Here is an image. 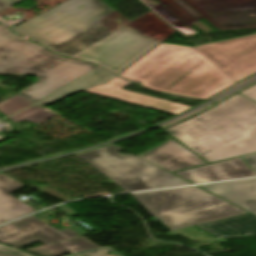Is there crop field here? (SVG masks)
Masks as SVG:
<instances>
[{
  "mask_svg": "<svg viewBox=\"0 0 256 256\" xmlns=\"http://www.w3.org/2000/svg\"><path fill=\"white\" fill-rule=\"evenodd\" d=\"M243 158L250 166V168L256 173V154L244 156Z\"/></svg>",
  "mask_w": 256,
  "mask_h": 256,
  "instance_id": "crop-field-23",
  "label": "crop field"
},
{
  "mask_svg": "<svg viewBox=\"0 0 256 256\" xmlns=\"http://www.w3.org/2000/svg\"><path fill=\"white\" fill-rule=\"evenodd\" d=\"M10 224L21 231L9 235L2 227H0V242L14 247H19L36 240L46 245L79 237V235L69 229L60 232L33 216Z\"/></svg>",
  "mask_w": 256,
  "mask_h": 256,
  "instance_id": "crop-field-9",
  "label": "crop field"
},
{
  "mask_svg": "<svg viewBox=\"0 0 256 256\" xmlns=\"http://www.w3.org/2000/svg\"><path fill=\"white\" fill-rule=\"evenodd\" d=\"M125 27L144 37L158 42L162 41L164 38L174 32L151 12Z\"/></svg>",
  "mask_w": 256,
  "mask_h": 256,
  "instance_id": "crop-field-17",
  "label": "crop field"
},
{
  "mask_svg": "<svg viewBox=\"0 0 256 256\" xmlns=\"http://www.w3.org/2000/svg\"><path fill=\"white\" fill-rule=\"evenodd\" d=\"M165 131L209 163L256 153V103L238 95Z\"/></svg>",
  "mask_w": 256,
  "mask_h": 256,
  "instance_id": "crop-field-1",
  "label": "crop field"
},
{
  "mask_svg": "<svg viewBox=\"0 0 256 256\" xmlns=\"http://www.w3.org/2000/svg\"><path fill=\"white\" fill-rule=\"evenodd\" d=\"M132 195L154 218H159L170 231L246 213L198 187Z\"/></svg>",
  "mask_w": 256,
  "mask_h": 256,
  "instance_id": "crop-field-5",
  "label": "crop field"
},
{
  "mask_svg": "<svg viewBox=\"0 0 256 256\" xmlns=\"http://www.w3.org/2000/svg\"><path fill=\"white\" fill-rule=\"evenodd\" d=\"M11 6H13V5H11V4H9L5 1L0 0V12L9 8V7H11Z\"/></svg>",
  "mask_w": 256,
  "mask_h": 256,
  "instance_id": "crop-field-25",
  "label": "crop field"
},
{
  "mask_svg": "<svg viewBox=\"0 0 256 256\" xmlns=\"http://www.w3.org/2000/svg\"><path fill=\"white\" fill-rule=\"evenodd\" d=\"M176 174L196 183L255 176L240 158L176 172Z\"/></svg>",
  "mask_w": 256,
  "mask_h": 256,
  "instance_id": "crop-field-12",
  "label": "crop field"
},
{
  "mask_svg": "<svg viewBox=\"0 0 256 256\" xmlns=\"http://www.w3.org/2000/svg\"><path fill=\"white\" fill-rule=\"evenodd\" d=\"M195 49L236 83L256 73V34Z\"/></svg>",
  "mask_w": 256,
  "mask_h": 256,
  "instance_id": "crop-field-8",
  "label": "crop field"
},
{
  "mask_svg": "<svg viewBox=\"0 0 256 256\" xmlns=\"http://www.w3.org/2000/svg\"><path fill=\"white\" fill-rule=\"evenodd\" d=\"M197 227L219 238L243 236L247 232L256 235V216L247 213L197 225Z\"/></svg>",
  "mask_w": 256,
  "mask_h": 256,
  "instance_id": "crop-field-14",
  "label": "crop field"
},
{
  "mask_svg": "<svg viewBox=\"0 0 256 256\" xmlns=\"http://www.w3.org/2000/svg\"><path fill=\"white\" fill-rule=\"evenodd\" d=\"M5 1H7V2L13 4V5H15V4H17V3H19V2H21V1H23V0H5Z\"/></svg>",
  "mask_w": 256,
  "mask_h": 256,
  "instance_id": "crop-field-26",
  "label": "crop field"
},
{
  "mask_svg": "<svg viewBox=\"0 0 256 256\" xmlns=\"http://www.w3.org/2000/svg\"><path fill=\"white\" fill-rule=\"evenodd\" d=\"M92 72V71H91ZM87 75V74H86ZM85 76V75H84ZM115 77L111 73L107 72L106 70L102 68H97L92 73L88 74L87 76L83 78H79L80 80L66 86L65 88L49 95L45 99L41 100L39 104L46 106L52 102H55L59 99H62L66 96H69L71 94H74L78 91L93 87L97 84L105 83L108 80Z\"/></svg>",
  "mask_w": 256,
  "mask_h": 256,
  "instance_id": "crop-field-16",
  "label": "crop field"
},
{
  "mask_svg": "<svg viewBox=\"0 0 256 256\" xmlns=\"http://www.w3.org/2000/svg\"><path fill=\"white\" fill-rule=\"evenodd\" d=\"M112 145L75 157L87 160L127 192L189 184L133 154L119 156Z\"/></svg>",
  "mask_w": 256,
  "mask_h": 256,
  "instance_id": "crop-field-6",
  "label": "crop field"
},
{
  "mask_svg": "<svg viewBox=\"0 0 256 256\" xmlns=\"http://www.w3.org/2000/svg\"><path fill=\"white\" fill-rule=\"evenodd\" d=\"M54 116L56 115L38 107L37 105H34L9 118L14 122L30 121L38 125Z\"/></svg>",
  "mask_w": 256,
  "mask_h": 256,
  "instance_id": "crop-field-19",
  "label": "crop field"
},
{
  "mask_svg": "<svg viewBox=\"0 0 256 256\" xmlns=\"http://www.w3.org/2000/svg\"><path fill=\"white\" fill-rule=\"evenodd\" d=\"M256 215V179L200 186Z\"/></svg>",
  "mask_w": 256,
  "mask_h": 256,
  "instance_id": "crop-field-13",
  "label": "crop field"
},
{
  "mask_svg": "<svg viewBox=\"0 0 256 256\" xmlns=\"http://www.w3.org/2000/svg\"><path fill=\"white\" fill-rule=\"evenodd\" d=\"M23 187V184L0 174V224L37 211L8 194Z\"/></svg>",
  "mask_w": 256,
  "mask_h": 256,
  "instance_id": "crop-field-15",
  "label": "crop field"
},
{
  "mask_svg": "<svg viewBox=\"0 0 256 256\" xmlns=\"http://www.w3.org/2000/svg\"><path fill=\"white\" fill-rule=\"evenodd\" d=\"M93 248H97V246L84 239L83 237H79L71 240L49 244L44 247L28 249L25 251L36 254L38 256H60L64 253L72 254Z\"/></svg>",
  "mask_w": 256,
  "mask_h": 256,
  "instance_id": "crop-field-18",
  "label": "crop field"
},
{
  "mask_svg": "<svg viewBox=\"0 0 256 256\" xmlns=\"http://www.w3.org/2000/svg\"><path fill=\"white\" fill-rule=\"evenodd\" d=\"M138 157L170 173L207 164L173 139Z\"/></svg>",
  "mask_w": 256,
  "mask_h": 256,
  "instance_id": "crop-field-11",
  "label": "crop field"
},
{
  "mask_svg": "<svg viewBox=\"0 0 256 256\" xmlns=\"http://www.w3.org/2000/svg\"><path fill=\"white\" fill-rule=\"evenodd\" d=\"M239 93H241V94L247 96L248 98L256 101V84L247 88V89H245V90H243V91H241V92H239Z\"/></svg>",
  "mask_w": 256,
  "mask_h": 256,
  "instance_id": "crop-field-22",
  "label": "crop field"
},
{
  "mask_svg": "<svg viewBox=\"0 0 256 256\" xmlns=\"http://www.w3.org/2000/svg\"><path fill=\"white\" fill-rule=\"evenodd\" d=\"M110 250L100 249L96 251L82 253L81 256H105ZM0 256H31L6 246L0 245Z\"/></svg>",
  "mask_w": 256,
  "mask_h": 256,
  "instance_id": "crop-field-21",
  "label": "crop field"
},
{
  "mask_svg": "<svg viewBox=\"0 0 256 256\" xmlns=\"http://www.w3.org/2000/svg\"><path fill=\"white\" fill-rule=\"evenodd\" d=\"M128 84L130 83L116 77L110 82H108L106 85H101V86L86 90L84 92L148 107L151 109L159 110V111L174 114V115H177L191 108V107L163 101L160 99L121 90L122 87Z\"/></svg>",
  "mask_w": 256,
  "mask_h": 256,
  "instance_id": "crop-field-10",
  "label": "crop field"
},
{
  "mask_svg": "<svg viewBox=\"0 0 256 256\" xmlns=\"http://www.w3.org/2000/svg\"><path fill=\"white\" fill-rule=\"evenodd\" d=\"M5 67L41 74L37 83L17 93L35 103L98 66L52 54L0 25V70Z\"/></svg>",
  "mask_w": 256,
  "mask_h": 256,
  "instance_id": "crop-field-4",
  "label": "crop field"
},
{
  "mask_svg": "<svg viewBox=\"0 0 256 256\" xmlns=\"http://www.w3.org/2000/svg\"><path fill=\"white\" fill-rule=\"evenodd\" d=\"M113 12L102 0H68L14 30L71 56L110 34L102 27L100 19Z\"/></svg>",
  "mask_w": 256,
  "mask_h": 256,
  "instance_id": "crop-field-3",
  "label": "crop field"
},
{
  "mask_svg": "<svg viewBox=\"0 0 256 256\" xmlns=\"http://www.w3.org/2000/svg\"><path fill=\"white\" fill-rule=\"evenodd\" d=\"M3 228H4L9 234L14 233V232H16V231H19L18 229L14 228L13 226H11V225H9V224L3 226Z\"/></svg>",
  "mask_w": 256,
  "mask_h": 256,
  "instance_id": "crop-field-24",
  "label": "crop field"
},
{
  "mask_svg": "<svg viewBox=\"0 0 256 256\" xmlns=\"http://www.w3.org/2000/svg\"><path fill=\"white\" fill-rule=\"evenodd\" d=\"M33 103L19 97V96H14L2 103H0V112L6 116L15 113L21 109H24Z\"/></svg>",
  "mask_w": 256,
  "mask_h": 256,
  "instance_id": "crop-field-20",
  "label": "crop field"
},
{
  "mask_svg": "<svg viewBox=\"0 0 256 256\" xmlns=\"http://www.w3.org/2000/svg\"><path fill=\"white\" fill-rule=\"evenodd\" d=\"M157 43L122 27L73 57L97 62L119 73Z\"/></svg>",
  "mask_w": 256,
  "mask_h": 256,
  "instance_id": "crop-field-7",
  "label": "crop field"
},
{
  "mask_svg": "<svg viewBox=\"0 0 256 256\" xmlns=\"http://www.w3.org/2000/svg\"><path fill=\"white\" fill-rule=\"evenodd\" d=\"M119 75L146 88L200 99L235 83L194 48L166 43Z\"/></svg>",
  "mask_w": 256,
  "mask_h": 256,
  "instance_id": "crop-field-2",
  "label": "crop field"
},
{
  "mask_svg": "<svg viewBox=\"0 0 256 256\" xmlns=\"http://www.w3.org/2000/svg\"><path fill=\"white\" fill-rule=\"evenodd\" d=\"M106 256H116V255L108 253Z\"/></svg>",
  "mask_w": 256,
  "mask_h": 256,
  "instance_id": "crop-field-27",
  "label": "crop field"
}]
</instances>
